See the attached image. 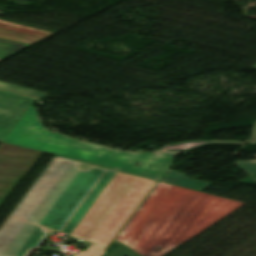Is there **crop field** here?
I'll return each mask as SVG.
<instances>
[{"label": "crop field", "instance_id": "cbeb9de0", "mask_svg": "<svg viewBox=\"0 0 256 256\" xmlns=\"http://www.w3.org/2000/svg\"><path fill=\"white\" fill-rule=\"evenodd\" d=\"M3 60V59H0V61Z\"/></svg>", "mask_w": 256, "mask_h": 256}, {"label": "crop field", "instance_id": "3316defc", "mask_svg": "<svg viewBox=\"0 0 256 256\" xmlns=\"http://www.w3.org/2000/svg\"><path fill=\"white\" fill-rule=\"evenodd\" d=\"M236 165L245 170L251 177L256 180V160L235 162Z\"/></svg>", "mask_w": 256, "mask_h": 256}, {"label": "crop field", "instance_id": "e52e79f7", "mask_svg": "<svg viewBox=\"0 0 256 256\" xmlns=\"http://www.w3.org/2000/svg\"><path fill=\"white\" fill-rule=\"evenodd\" d=\"M161 181L186 187V188H190V189H194V190H198V191L204 190L206 187H208L211 184V183H207V182H203L195 179H189L185 175L170 169H168V171L163 176Z\"/></svg>", "mask_w": 256, "mask_h": 256}, {"label": "crop field", "instance_id": "412701ff", "mask_svg": "<svg viewBox=\"0 0 256 256\" xmlns=\"http://www.w3.org/2000/svg\"><path fill=\"white\" fill-rule=\"evenodd\" d=\"M40 154L41 152L5 143L0 145V205Z\"/></svg>", "mask_w": 256, "mask_h": 256}, {"label": "crop field", "instance_id": "8a807250", "mask_svg": "<svg viewBox=\"0 0 256 256\" xmlns=\"http://www.w3.org/2000/svg\"><path fill=\"white\" fill-rule=\"evenodd\" d=\"M156 181L55 156L0 229V256H29L50 232L103 256Z\"/></svg>", "mask_w": 256, "mask_h": 256}, {"label": "crop field", "instance_id": "5a996713", "mask_svg": "<svg viewBox=\"0 0 256 256\" xmlns=\"http://www.w3.org/2000/svg\"><path fill=\"white\" fill-rule=\"evenodd\" d=\"M0 88L10 90V91H14V92H18V93H22V94H25V95H28V96H31V97H35V98H38V99L47 95L46 93H42V92L31 90V89H28V88H24V87L12 85V84L4 83V82H1V81H0Z\"/></svg>", "mask_w": 256, "mask_h": 256}, {"label": "crop field", "instance_id": "34b2d1b8", "mask_svg": "<svg viewBox=\"0 0 256 256\" xmlns=\"http://www.w3.org/2000/svg\"><path fill=\"white\" fill-rule=\"evenodd\" d=\"M2 142L65 156L79 161L159 180L178 153L120 151L51 133L44 128L33 105L28 107ZM135 162L140 167H134Z\"/></svg>", "mask_w": 256, "mask_h": 256}, {"label": "crop field", "instance_id": "28ad6ade", "mask_svg": "<svg viewBox=\"0 0 256 256\" xmlns=\"http://www.w3.org/2000/svg\"><path fill=\"white\" fill-rule=\"evenodd\" d=\"M129 252H131L132 254L129 255ZM106 256H137V254H135L134 252H132L131 250L122 245Z\"/></svg>", "mask_w": 256, "mask_h": 256}, {"label": "crop field", "instance_id": "d8731c3e", "mask_svg": "<svg viewBox=\"0 0 256 256\" xmlns=\"http://www.w3.org/2000/svg\"><path fill=\"white\" fill-rule=\"evenodd\" d=\"M207 144H243L238 141H188L172 145H167L162 148V151H187L195 148L202 147ZM187 147H184V146Z\"/></svg>", "mask_w": 256, "mask_h": 256}, {"label": "crop field", "instance_id": "5142ce71", "mask_svg": "<svg viewBox=\"0 0 256 256\" xmlns=\"http://www.w3.org/2000/svg\"><path fill=\"white\" fill-rule=\"evenodd\" d=\"M1 13V12H0Z\"/></svg>", "mask_w": 256, "mask_h": 256}, {"label": "crop field", "instance_id": "dd49c442", "mask_svg": "<svg viewBox=\"0 0 256 256\" xmlns=\"http://www.w3.org/2000/svg\"><path fill=\"white\" fill-rule=\"evenodd\" d=\"M37 99L0 90V140L22 111Z\"/></svg>", "mask_w": 256, "mask_h": 256}, {"label": "crop field", "instance_id": "22f410ed", "mask_svg": "<svg viewBox=\"0 0 256 256\" xmlns=\"http://www.w3.org/2000/svg\"><path fill=\"white\" fill-rule=\"evenodd\" d=\"M254 68H256V65L254 66Z\"/></svg>", "mask_w": 256, "mask_h": 256}, {"label": "crop field", "instance_id": "f4fd0767", "mask_svg": "<svg viewBox=\"0 0 256 256\" xmlns=\"http://www.w3.org/2000/svg\"><path fill=\"white\" fill-rule=\"evenodd\" d=\"M55 33L0 20V58H7Z\"/></svg>", "mask_w": 256, "mask_h": 256}, {"label": "crop field", "instance_id": "ac0d7876", "mask_svg": "<svg viewBox=\"0 0 256 256\" xmlns=\"http://www.w3.org/2000/svg\"><path fill=\"white\" fill-rule=\"evenodd\" d=\"M241 205L158 182L116 240L141 256H163Z\"/></svg>", "mask_w": 256, "mask_h": 256}, {"label": "crop field", "instance_id": "d1516ede", "mask_svg": "<svg viewBox=\"0 0 256 256\" xmlns=\"http://www.w3.org/2000/svg\"><path fill=\"white\" fill-rule=\"evenodd\" d=\"M252 144H256V128H255Z\"/></svg>", "mask_w": 256, "mask_h": 256}]
</instances>
